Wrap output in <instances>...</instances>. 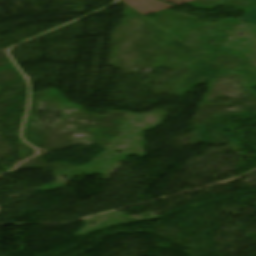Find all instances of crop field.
<instances>
[{"instance_id": "crop-field-1", "label": "crop field", "mask_w": 256, "mask_h": 256, "mask_svg": "<svg viewBox=\"0 0 256 256\" xmlns=\"http://www.w3.org/2000/svg\"><path fill=\"white\" fill-rule=\"evenodd\" d=\"M240 20H244L247 22L255 23L256 24V7L252 9L250 12L245 14Z\"/></svg>"}]
</instances>
